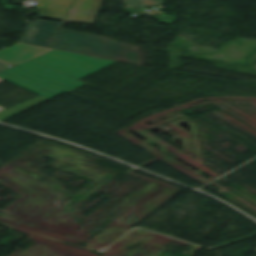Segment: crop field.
<instances>
[{
    "mask_svg": "<svg viewBox=\"0 0 256 256\" xmlns=\"http://www.w3.org/2000/svg\"><path fill=\"white\" fill-rule=\"evenodd\" d=\"M50 48L141 65L139 46L124 45L91 34L59 29Z\"/></svg>",
    "mask_w": 256,
    "mask_h": 256,
    "instance_id": "8a807250",
    "label": "crop field"
},
{
    "mask_svg": "<svg viewBox=\"0 0 256 256\" xmlns=\"http://www.w3.org/2000/svg\"><path fill=\"white\" fill-rule=\"evenodd\" d=\"M0 78L48 99L85 84L32 60L0 73Z\"/></svg>",
    "mask_w": 256,
    "mask_h": 256,
    "instance_id": "ac0d7876",
    "label": "crop field"
},
{
    "mask_svg": "<svg viewBox=\"0 0 256 256\" xmlns=\"http://www.w3.org/2000/svg\"><path fill=\"white\" fill-rule=\"evenodd\" d=\"M76 79L96 72L114 62L85 55L53 50L32 59Z\"/></svg>",
    "mask_w": 256,
    "mask_h": 256,
    "instance_id": "34b2d1b8",
    "label": "crop field"
},
{
    "mask_svg": "<svg viewBox=\"0 0 256 256\" xmlns=\"http://www.w3.org/2000/svg\"><path fill=\"white\" fill-rule=\"evenodd\" d=\"M28 22L20 42L47 48L60 23L36 20Z\"/></svg>",
    "mask_w": 256,
    "mask_h": 256,
    "instance_id": "412701ff",
    "label": "crop field"
},
{
    "mask_svg": "<svg viewBox=\"0 0 256 256\" xmlns=\"http://www.w3.org/2000/svg\"><path fill=\"white\" fill-rule=\"evenodd\" d=\"M103 0H75L64 21L94 25Z\"/></svg>",
    "mask_w": 256,
    "mask_h": 256,
    "instance_id": "f4fd0767",
    "label": "crop field"
},
{
    "mask_svg": "<svg viewBox=\"0 0 256 256\" xmlns=\"http://www.w3.org/2000/svg\"><path fill=\"white\" fill-rule=\"evenodd\" d=\"M48 51H50V49L18 43L10 48L0 50V60L16 65Z\"/></svg>",
    "mask_w": 256,
    "mask_h": 256,
    "instance_id": "dd49c442",
    "label": "crop field"
},
{
    "mask_svg": "<svg viewBox=\"0 0 256 256\" xmlns=\"http://www.w3.org/2000/svg\"><path fill=\"white\" fill-rule=\"evenodd\" d=\"M37 3L42 18L63 20L73 0H30ZM40 2V3H38Z\"/></svg>",
    "mask_w": 256,
    "mask_h": 256,
    "instance_id": "e52e79f7",
    "label": "crop field"
},
{
    "mask_svg": "<svg viewBox=\"0 0 256 256\" xmlns=\"http://www.w3.org/2000/svg\"><path fill=\"white\" fill-rule=\"evenodd\" d=\"M46 100H48V99L38 96L32 100L22 103V104H20L16 107H13L9 110H4V111L0 112V122H4V121L24 112L32 107L46 101Z\"/></svg>",
    "mask_w": 256,
    "mask_h": 256,
    "instance_id": "d8731c3e",
    "label": "crop field"
},
{
    "mask_svg": "<svg viewBox=\"0 0 256 256\" xmlns=\"http://www.w3.org/2000/svg\"><path fill=\"white\" fill-rule=\"evenodd\" d=\"M128 6H132L138 9H144L147 7L158 6L164 4L162 0H125Z\"/></svg>",
    "mask_w": 256,
    "mask_h": 256,
    "instance_id": "5a996713",
    "label": "crop field"
},
{
    "mask_svg": "<svg viewBox=\"0 0 256 256\" xmlns=\"http://www.w3.org/2000/svg\"><path fill=\"white\" fill-rule=\"evenodd\" d=\"M7 68V64L0 62V71Z\"/></svg>",
    "mask_w": 256,
    "mask_h": 256,
    "instance_id": "3316defc",
    "label": "crop field"
},
{
    "mask_svg": "<svg viewBox=\"0 0 256 256\" xmlns=\"http://www.w3.org/2000/svg\"><path fill=\"white\" fill-rule=\"evenodd\" d=\"M3 110L2 108H0V111Z\"/></svg>",
    "mask_w": 256,
    "mask_h": 256,
    "instance_id": "28ad6ade",
    "label": "crop field"
},
{
    "mask_svg": "<svg viewBox=\"0 0 256 256\" xmlns=\"http://www.w3.org/2000/svg\"><path fill=\"white\" fill-rule=\"evenodd\" d=\"M1 81H3V80L0 79V82H1Z\"/></svg>",
    "mask_w": 256,
    "mask_h": 256,
    "instance_id": "d1516ede",
    "label": "crop field"
}]
</instances>
